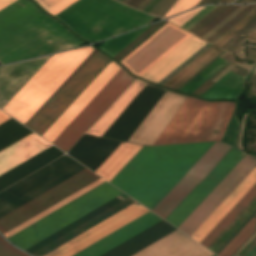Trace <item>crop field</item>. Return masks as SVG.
<instances>
[{
	"instance_id": "8a807250",
	"label": "crop field",
	"mask_w": 256,
	"mask_h": 256,
	"mask_svg": "<svg viewBox=\"0 0 256 256\" xmlns=\"http://www.w3.org/2000/svg\"><path fill=\"white\" fill-rule=\"evenodd\" d=\"M214 143L143 147L110 183L152 210Z\"/></svg>"
},
{
	"instance_id": "ac0d7876",
	"label": "crop field",
	"mask_w": 256,
	"mask_h": 256,
	"mask_svg": "<svg viewBox=\"0 0 256 256\" xmlns=\"http://www.w3.org/2000/svg\"><path fill=\"white\" fill-rule=\"evenodd\" d=\"M56 17L92 43L147 25L156 19L113 0H79Z\"/></svg>"
},
{
	"instance_id": "34b2d1b8",
	"label": "crop field",
	"mask_w": 256,
	"mask_h": 256,
	"mask_svg": "<svg viewBox=\"0 0 256 256\" xmlns=\"http://www.w3.org/2000/svg\"><path fill=\"white\" fill-rule=\"evenodd\" d=\"M235 103L186 96L153 145L221 140Z\"/></svg>"
},
{
	"instance_id": "412701ff",
	"label": "crop field",
	"mask_w": 256,
	"mask_h": 256,
	"mask_svg": "<svg viewBox=\"0 0 256 256\" xmlns=\"http://www.w3.org/2000/svg\"><path fill=\"white\" fill-rule=\"evenodd\" d=\"M93 49L53 55L2 110L24 124Z\"/></svg>"
},
{
	"instance_id": "f4fd0767",
	"label": "crop field",
	"mask_w": 256,
	"mask_h": 256,
	"mask_svg": "<svg viewBox=\"0 0 256 256\" xmlns=\"http://www.w3.org/2000/svg\"><path fill=\"white\" fill-rule=\"evenodd\" d=\"M83 43L45 14L0 42V63L75 48Z\"/></svg>"
},
{
	"instance_id": "dd49c442",
	"label": "crop field",
	"mask_w": 256,
	"mask_h": 256,
	"mask_svg": "<svg viewBox=\"0 0 256 256\" xmlns=\"http://www.w3.org/2000/svg\"><path fill=\"white\" fill-rule=\"evenodd\" d=\"M120 193L105 182L7 239L24 250Z\"/></svg>"
},
{
	"instance_id": "e52e79f7",
	"label": "crop field",
	"mask_w": 256,
	"mask_h": 256,
	"mask_svg": "<svg viewBox=\"0 0 256 256\" xmlns=\"http://www.w3.org/2000/svg\"><path fill=\"white\" fill-rule=\"evenodd\" d=\"M111 61L98 51L28 127L42 136Z\"/></svg>"
},
{
	"instance_id": "d8731c3e",
	"label": "crop field",
	"mask_w": 256,
	"mask_h": 256,
	"mask_svg": "<svg viewBox=\"0 0 256 256\" xmlns=\"http://www.w3.org/2000/svg\"><path fill=\"white\" fill-rule=\"evenodd\" d=\"M133 79L121 68L52 144L67 152Z\"/></svg>"
},
{
	"instance_id": "5a996713",
	"label": "crop field",
	"mask_w": 256,
	"mask_h": 256,
	"mask_svg": "<svg viewBox=\"0 0 256 256\" xmlns=\"http://www.w3.org/2000/svg\"><path fill=\"white\" fill-rule=\"evenodd\" d=\"M191 35L168 22L120 62L140 77Z\"/></svg>"
},
{
	"instance_id": "3316defc",
	"label": "crop field",
	"mask_w": 256,
	"mask_h": 256,
	"mask_svg": "<svg viewBox=\"0 0 256 256\" xmlns=\"http://www.w3.org/2000/svg\"><path fill=\"white\" fill-rule=\"evenodd\" d=\"M98 178L100 177L87 169L80 172L74 177L1 218L0 232L3 234L9 231Z\"/></svg>"
},
{
	"instance_id": "28ad6ade",
	"label": "crop field",
	"mask_w": 256,
	"mask_h": 256,
	"mask_svg": "<svg viewBox=\"0 0 256 256\" xmlns=\"http://www.w3.org/2000/svg\"><path fill=\"white\" fill-rule=\"evenodd\" d=\"M245 156L232 147L165 220L178 228Z\"/></svg>"
},
{
	"instance_id": "d1516ede",
	"label": "crop field",
	"mask_w": 256,
	"mask_h": 256,
	"mask_svg": "<svg viewBox=\"0 0 256 256\" xmlns=\"http://www.w3.org/2000/svg\"><path fill=\"white\" fill-rule=\"evenodd\" d=\"M148 212L136 202L45 256H73Z\"/></svg>"
},
{
	"instance_id": "22f410ed",
	"label": "crop field",
	"mask_w": 256,
	"mask_h": 256,
	"mask_svg": "<svg viewBox=\"0 0 256 256\" xmlns=\"http://www.w3.org/2000/svg\"><path fill=\"white\" fill-rule=\"evenodd\" d=\"M230 148L216 142L152 211L165 219Z\"/></svg>"
},
{
	"instance_id": "cbeb9de0",
	"label": "crop field",
	"mask_w": 256,
	"mask_h": 256,
	"mask_svg": "<svg viewBox=\"0 0 256 256\" xmlns=\"http://www.w3.org/2000/svg\"><path fill=\"white\" fill-rule=\"evenodd\" d=\"M255 166L256 159L247 155L178 229L191 236Z\"/></svg>"
},
{
	"instance_id": "5142ce71",
	"label": "crop field",
	"mask_w": 256,
	"mask_h": 256,
	"mask_svg": "<svg viewBox=\"0 0 256 256\" xmlns=\"http://www.w3.org/2000/svg\"><path fill=\"white\" fill-rule=\"evenodd\" d=\"M165 91L148 84L102 137L127 142Z\"/></svg>"
},
{
	"instance_id": "d9b57169",
	"label": "crop field",
	"mask_w": 256,
	"mask_h": 256,
	"mask_svg": "<svg viewBox=\"0 0 256 256\" xmlns=\"http://www.w3.org/2000/svg\"><path fill=\"white\" fill-rule=\"evenodd\" d=\"M183 98L184 95L167 90L128 142L152 145Z\"/></svg>"
},
{
	"instance_id": "733c2abd",
	"label": "crop field",
	"mask_w": 256,
	"mask_h": 256,
	"mask_svg": "<svg viewBox=\"0 0 256 256\" xmlns=\"http://www.w3.org/2000/svg\"><path fill=\"white\" fill-rule=\"evenodd\" d=\"M51 56L0 67V108L1 109L27 83V81L44 65V63Z\"/></svg>"
},
{
	"instance_id": "4a817a6b",
	"label": "crop field",
	"mask_w": 256,
	"mask_h": 256,
	"mask_svg": "<svg viewBox=\"0 0 256 256\" xmlns=\"http://www.w3.org/2000/svg\"><path fill=\"white\" fill-rule=\"evenodd\" d=\"M120 68L112 61L42 137L52 143Z\"/></svg>"
},
{
	"instance_id": "bc2a9ffb",
	"label": "crop field",
	"mask_w": 256,
	"mask_h": 256,
	"mask_svg": "<svg viewBox=\"0 0 256 256\" xmlns=\"http://www.w3.org/2000/svg\"><path fill=\"white\" fill-rule=\"evenodd\" d=\"M208 251L177 230L133 256L213 255Z\"/></svg>"
},
{
	"instance_id": "214f88e0",
	"label": "crop field",
	"mask_w": 256,
	"mask_h": 256,
	"mask_svg": "<svg viewBox=\"0 0 256 256\" xmlns=\"http://www.w3.org/2000/svg\"><path fill=\"white\" fill-rule=\"evenodd\" d=\"M120 144V142L84 135L68 155L95 172Z\"/></svg>"
},
{
	"instance_id": "92a150f3",
	"label": "crop field",
	"mask_w": 256,
	"mask_h": 256,
	"mask_svg": "<svg viewBox=\"0 0 256 256\" xmlns=\"http://www.w3.org/2000/svg\"><path fill=\"white\" fill-rule=\"evenodd\" d=\"M44 13L29 0H17L0 11V41Z\"/></svg>"
},
{
	"instance_id": "dafd665d",
	"label": "crop field",
	"mask_w": 256,
	"mask_h": 256,
	"mask_svg": "<svg viewBox=\"0 0 256 256\" xmlns=\"http://www.w3.org/2000/svg\"><path fill=\"white\" fill-rule=\"evenodd\" d=\"M160 220L150 212L74 256H100Z\"/></svg>"
},
{
	"instance_id": "00972430",
	"label": "crop field",
	"mask_w": 256,
	"mask_h": 256,
	"mask_svg": "<svg viewBox=\"0 0 256 256\" xmlns=\"http://www.w3.org/2000/svg\"><path fill=\"white\" fill-rule=\"evenodd\" d=\"M50 146L52 145L32 133L0 151V175Z\"/></svg>"
},
{
	"instance_id": "a9b5d70f",
	"label": "crop field",
	"mask_w": 256,
	"mask_h": 256,
	"mask_svg": "<svg viewBox=\"0 0 256 256\" xmlns=\"http://www.w3.org/2000/svg\"><path fill=\"white\" fill-rule=\"evenodd\" d=\"M206 43L192 35L141 77L157 83Z\"/></svg>"
},
{
	"instance_id": "4177f3b9",
	"label": "crop field",
	"mask_w": 256,
	"mask_h": 256,
	"mask_svg": "<svg viewBox=\"0 0 256 256\" xmlns=\"http://www.w3.org/2000/svg\"><path fill=\"white\" fill-rule=\"evenodd\" d=\"M175 230L162 220L101 256H131Z\"/></svg>"
},
{
	"instance_id": "730fd06b",
	"label": "crop field",
	"mask_w": 256,
	"mask_h": 256,
	"mask_svg": "<svg viewBox=\"0 0 256 256\" xmlns=\"http://www.w3.org/2000/svg\"><path fill=\"white\" fill-rule=\"evenodd\" d=\"M146 85L136 79L86 134L101 137Z\"/></svg>"
},
{
	"instance_id": "eef30255",
	"label": "crop field",
	"mask_w": 256,
	"mask_h": 256,
	"mask_svg": "<svg viewBox=\"0 0 256 256\" xmlns=\"http://www.w3.org/2000/svg\"><path fill=\"white\" fill-rule=\"evenodd\" d=\"M61 152L52 146L45 151L39 153L38 155L34 156L33 158L27 160L26 162L20 164L19 166L13 168L7 173L1 175L0 191L14 184L15 182L19 181L30 173L36 171L37 169L41 168L52 160L63 155V153Z\"/></svg>"
},
{
	"instance_id": "ae1a2a85",
	"label": "crop field",
	"mask_w": 256,
	"mask_h": 256,
	"mask_svg": "<svg viewBox=\"0 0 256 256\" xmlns=\"http://www.w3.org/2000/svg\"><path fill=\"white\" fill-rule=\"evenodd\" d=\"M255 182H256V168L235 189V191L218 207V209L200 226V228L191 237H193L194 239L200 242L206 236V234L220 221V219L234 206V204L249 190V188Z\"/></svg>"
},
{
	"instance_id": "d3111659",
	"label": "crop field",
	"mask_w": 256,
	"mask_h": 256,
	"mask_svg": "<svg viewBox=\"0 0 256 256\" xmlns=\"http://www.w3.org/2000/svg\"><path fill=\"white\" fill-rule=\"evenodd\" d=\"M141 148L122 143L95 173L110 182Z\"/></svg>"
},
{
	"instance_id": "750c4746",
	"label": "crop field",
	"mask_w": 256,
	"mask_h": 256,
	"mask_svg": "<svg viewBox=\"0 0 256 256\" xmlns=\"http://www.w3.org/2000/svg\"><path fill=\"white\" fill-rule=\"evenodd\" d=\"M243 77L229 72L200 97L207 99L232 98L237 99L243 89Z\"/></svg>"
},
{
	"instance_id": "bd1437ed",
	"label": "crop field",
	"mask_w": 256,
	"mask_h": 256,
	"mask_svg": "<svg viewBox=\"0 0 256 256\" xmlns=\"http://www.w3.org/2000/svg\"><path fill=\"white\" fill-rule=\"evenodd\" d=\"M222 52L223 51H221L220 49L212 46L202 55L200 54L201 56H199L196 60H194L191 64H189L166 84H164V86L176 89Z\"/></svg>"
},
{
	"instance_id": "1d83c4d3",
	"label": "crop field",
	"mask_w": 256,
	"mask_h": 256,
	"mask_svg": "<svg viewBox=\"0 0 256 256\" xmlns=\"http://www.w3.org/2000/svg\"><path fill=\"white\" fill-rule=\"evenodd\" d=\"M256 196V183L236 203V205L221 219V221L200 242L206 248L228 226V224L242 211V209Z\"/></svg>"
},
{
	"instance_id": "120bbe31",
	"label": "crop field",
	"mask_w": 256,
	"mask_h": 256,
	"mask_svg": "<svg viewBox=\"0 0 256 256\" xmlns=\"http://www.w3.org/2000/svg\"><path fill=\"white\" fill-rule=\"evenodd\" d=\"M30 133L32 132L16 122L14 119L11 118L7 120L0 125V150Z\"/></svg>"
},
{
	"instance_id": "d32e631a",
	"label": "crop field",
	"mask_w": 256,
	"mask_h": 256,
	"mask_svg": "<svg viewBox=\"0 0 256 256\" xmlns=\"http://www.w3.org/2000/svg\"><path fill=\"white\" fill-rule=\"evenodd\" d=\"M105 182L101 178L94 181L93 183L89 184L88 186L82 188L81 190L77 191L76 193L70 195L69 197L65 198L64 200L58 202L57 204L53 205L52 207L46 209L45 211L39 213L38 215L34 216L33 218L27 220L26 222L22 223L21 225L15 227L14 229L10 230L9 232L3 234L6 238L13 235L14 233L20 231L21 229L25 228L26 226L32 224L33 222L39 220L40 218L46 216L47 214L53 212L54 210L58 209L59 207L65 205L66 203L72 201L73 199L79 197L80 195L86 193L87 191L91 190L92 188L98 186L99 184Z\"/></svg>"
},
{
	"instance_id": "5866460e",
	"label": "crop field",
	"mask_w": 256,
	"mask_h": 256,
	"mask_svg": "<svg viewBox=\"0 0 256 256\" xmlns=\"http://www.w3.org/2000/svg\"><path fill=\"white\" fill-rule=\"evenodd\" d=\"M149 27H145L134 32L125 34L123 36L108 40L99 48L106 52L108 55L113 57L124 47H126L129 43H131L135 38H137L140 34H142L145 30H147Z\"/></svg>"
},
{
	"instance_id": "028f5c9d",
	"label": "crop field",
	"mask_w": 256,
	"mask_h": 256,
	"mask_svg": "<svg viewBox=\"0 0 256 256\" xmlns=\"http://www.w3.org/2000/svg\"><path fill=\"white\" fill-rule=\"evenodd\" d=\"M255 230H256V220L253 218L218 256H232V254L245 242V240Z\"/></svg>"
},
{
	"instance_id": "e1f06a70",
	"label": "crop field",
	"mask_w": 256,
	"mask_h": 256,
	"mask_svg": "<svg viewBox=\"0 0 256 256\" xmlns=\"http://www.w3.org/2000/svg\"><path fill=\"white\" fill-rule=\"evenodd\" d=\"M255 7H256V4L248 5L234 19H232L229 23H227L224 27H222L219 31H217L214 35H212L209 39H207V41L213 44L221 36H223L227 31H229L232 27H234L237 23H239L242 19H244L250 12H252L255 9Z\"/></svg>"
},
{
	"instance_id": "0bd39190",
	"label": "crop field",
	"mask_w": 256,
	"mask_h": 256,
	"mask_svg": "<svg viewBox=\"0 0 256 256\" xmlns=\"http://www.w3.org/2000/svg\"><path fill=\"white\" fill-rule=\"evenodd\" d=\"M97 52L93 50L88 57L74 70V72L60 85V87L45 101V103L31 116V118L25 123L29 125L34 118L48 105V103L62 90V88L77 74V72L91 59V57Z\"/></svg>"
},
{
	"instance_id": "b80d0937",
	"label": "crop field",
	"mask_w": 256,
	"mask_h": 256,
	"mask_svg": "<svg viewBox=\"0 0 256 256\" xmlns=\"http://www.w3.org/2000/svg\"><path fill=\"white\" fill-rule=\"evenodd\" d=\"M256 17V9L250 13L244 20H242L239 24H237L234 28H232L228 33H226L222 38H220L213 45L217 47H221L226 41H228L236 32H238L242 27H244L248 22Z\"/></svg>"
},
{
	"instance_id": "c035e120",
	"label": "crop field",
	"mask_w": 256,
	"mask_h": 256,
	"mask_svg": "<svg viewBox=\"0 0 256 256\" xmlns=\"http://www.w3.org/2000/svg\"><path fill=\"white\" fill-rule=\"evenodd\" d=\"M224 60L218 58L212 64H210L207 68H205L202 72H200L196 77H194L191 81H189L186 85H184L179 91L186 92L192 86H194L197 82H199L202 78H204L207 74H209L212 70H214L217 66H219Z\"/></svg>"
},
{
	"instance_id": "c21b1889",
	"label": "crop field",
	"mask_w": 256,
	"mask_h": 256,
	"mask_svg": "<svg viewBox=\"0 0 256 256\" xmlns=\"http://www.w3.org/2000/svg\"><path fill=\"white\" fill-rule=\"evenodd\" d=\"M228 7H230V6L219 5L212 12H210L207 16H205L202 20H200L196 25H194L191 29H189L188 31L195 34L202 27H204L207 23H209L211 20H213L215 17H217L220 13H222L224 10H226Z\"/></svg>"
},
{
	"instance_id": "03da06ac",
	"label": "crop field",
	"mask_w": 256,
	"mask_h": 256,
	"mask_svg": "<svg viewBox=\"0 0 256 256\" xmlns=\"http://www.w3.org/2000/svg\"><path fill=\"white\" fill-rule=\"evenodd\" d=\"M240 6H231L226 11H224L222 14H220L217 18H215L213 21H211L209 24H207L204 28H202L197 35L198 37L204 36L207 32H209L212 28H214L217 24H219L222 20H224L227 16H229L233 11H235Z\"/></svg>"
},
{
	"instance_id": "b54c1fbb",
	"label": "crop field",
	"mask_w": 256,
	"mask_h": 256,
	"mask_svg": "<svg viewBox=\"0 0 256 256\" xmlns=\"http://www.w3.org/2000/svg\"><path fill=\"white\" fill-rule=\"evenodd\" d=\"M210 44L204 45L201 49H199L196 53H194L191 57H189L186 61H184L180 66H178L175 70H173L170 74H168L165 78H163L158 84L163 85L170 78H172L175 74H177L180 70H182L185 66H187L190 62H192L195 58H197L200 54H202L205 50H207Z\"/></svg>"
},
{
	"instance_id": "5d738f31",
	"label": "crop field",
	"mask_w": 256,
	"mask_h": 256,
	"mask_svg": "<svg viewBox=\"0 0 256 256\" xmlns=\"http://www.w3.org/2000/svg\"><path fill=\"white\" fill-rule=\"evenodd\" d=\"M237 128H238V121L236 119V116L234 114L230 125L228 127V130L224 136V138L222 139L223 142L229 143L233 146L236 147L235 145V140H236V134H237Z\"/></svg>"
},
{
	"instance_id": "d23c7cc5",
	"label": "crop field",
	"mask_w": 256,
	"mask_h": 256,
	"mask_svg": "<svg viewBox=\"0 0 256 256\" xmlns=\"http://www.w3.org/2000/svg\"><path fill=\"white\" fill-rule=\"evenodd\" d=\"M200 0H178L175 5L169 10L165 17L181 12L195 6ZM164 17V18H165Z\"/></svg>"
},
{
	"instance_id": "425ffa30",
	"label": "crop field",
	"mask_w": 256,
	"mask_h": 256,
	"mask_svg": "<svg viewBox=\"0 0 256 256\" xmlns=\"http://www.w3.org/2000/svg\"><path fill=\"white\" fill-rule=\"evenodd\" d=\"M177 0H161L150 12V14L163 18L168 10L174 5Z\"/></svg>"
},
{
	"instance_id": "25e5ab78",
	"label": "crop field",
	"mask_w": 256,
	"mask_h": 256,
	"mask_svg": "<svg viewBox=\"0 0 256 256\" xmlns=\"http://www.w3.org/2000/svg\"><path fill=\"white\" fill-rule=\"evenodd\" d=\"M0 256H28L7 243L0 236Z\"/></svg>"
},
{
	"instance_id": "73cf0c24",
	"label": "crop field",
	"mask_w": 256,
	"mask_h": 256,
	"mask_svg": "<svg viewBox=\"0 0 256 256\" xmlns=\"http://www.w3.org/2000/svg\"><path fill=\"white\" fill-rule=\"evenodd\" d=\"M216 6H206L203 8L199 13H197L194 17H192L189 21H187L181 28L188 30L191 28L195 23H197L200 19H202L205 15H207L211 10H213Z\"/></svg>"
},
{
	"instance_id": "89e229c0",
	"label": "crop field",
	"mask_w": 256,
	"mask_h": 256,
	"mask_svg": "<svg viewBox=\"0 0 256 256\" xmlns=\"http://www.w3.org/2000/svg\"><path fill=\"white\" fill-rule=\"evenodd\" d=\"M205 7V6H204ZM203 7L194 9L192 11H189L187 13L178 15L176 17L168 19L170 22L174 23L177 26L183 25L187 20H189L192 16H194L197 12H199Z\"/></svg>"
},
{
	"instance_id": "1f2cbd36",
	"label": "crop field",
	"mask_w": 256,
	"mask_h": 256,
	"mask_svg": "<svg viewBox=\"0 0 256 256\" xmlns=\"http://www.w3.org/2000/svg\"><path fill=\"white\" fill-rule=\"evenodd\" d=\"M246 6H241L234 13H232L229 17H227L224 21H222L219 25H217L214 29H212L209 33H207L202 39L206 40L212 34H214L217 30H219L222 26H224L227 22H229L232 18H234L241 10H243Z\"/></svg>"
},
{
	"instance_id": "dbb93151",
	"label": "crop field",
	"mask_w": 256,
	"mask_h": 256,
	"mask_svg": "<svg viewBox=\"0 0 256 256\" xmlns=\"http://www.w3.org/2000/svg\"><path fill=\"white\" fill-rule=\"evenodd\" d=\"M255 18H256V17H255ZM255 20H256V19H255ZM255 20H253V21H255ZM253 21H252V22H253ZM252 22H251V23H252ZM251 23H250V24H251ZM252 24H253V23H252ZM252 24H251V25H252ZM248 25H249V24H248ZM248 25H247V26H248ZM251 25H250V26H251ZM247 26H246V27H247ZM250 26H248L247 28H249ZM246 27H244V28H246ZM244 28H243V29H244ZM247 28H246V29H247ZM243 29H242V30H243ZM246 29H245V30H246ZM242 30H240L238 33H240ZM245 30H243L242 32H244ZM242 32H241V33H242ZM238 33H236L231 39H233ZM241 33H240V34H241ZM240 34H238L237 36H239ZM237 36H236V37H237ZM236 37H235V38H236ZM235 38H234V39H235ZM242 38H243V36L240 35L239 37H237V38L235 39L234 42H233L234 39H233L232 41H230V40H231V39H230V40H229L230 42H229V41H228L229 43L226 42V43L221 47V49L228 43V44L223 48V50H224L227 46H229V45L233 42L229 47H227V48L225 49V51L230 52V51L240 42V40H241Z\"/></svg>"
},
{
	"instance_id": "0fb4a251",
	"label": "crop field",
	"mask_w": 256,
	"mask_h": 256,
	"mask_svg": "<svg viewBox=\"0 0 256 256\" xmlns=\"http://www.w3.org/2000/svg\"><path fill=\"white\" fill-rule=\"evenodd\" d=\"M77 0H64L61 3H59L58 5H56L55 7H53L52 9H50L49 13H51L52 15H57L58 13H60L61 11H63L65 8H67L68 6H70L71 4H73L74 2H76Z\"/></svg>"
},
{
	"instance_id": "1d79db26",
	"label": "crop field",
	"mask_w": 256,
	"mask_h": 256,
	"mask_svg": "<svg viewBox=\"0 0 256 256\" xmlns=\"http://www.w3.org/2000/svg\"><path fill=\"white\" fill-rule=\"evenodd\" d=\"M46 11L62 0H35Z\"/></svg>"
},
{
	"instance_id": "9d1cf04e",
	"label": "crop field",
	"mask_w": 256,
	"mask_h": 256,
	"mask_svg": "<svg viewBox=\"0 0 256 256\" xmlns=\"http://www.w3.org/2000/svg\"><path fill=\"white\" fill-rule=\"evenodd\" d=\"M228 62L222 63L218 68H216L213 72H211L207 77H205L202 81H200L198 84H196L193 88H191L187 93L193 92L196 88H198L201 84H203L206 80H208L211 76H213L216 72H218L221 68H223Z\"/></svg>"
},
{
	"instance_id": "447ae74e",
	"label": "crop field",
	"mask_w": 256,
	"mask_h": 256,
	"mask_svg": "<svg viewBox=\"0 0 256 256\" xmlns=\"http://www.w3.org/2000/svg\"><path fill=\"white\" fill-rule=\"evenodd\" d=\"M247 114L244 115L242 121H241V127H240V134H239V141H238V147L243 150L242 145H241V141H242V137H243V133H244V126H245V118H246Z\"/></svg>"
},
{
	"instance_id": "0765c3eb",
	"label": "crop field",
	"mask_w": 256,
	"mask_h": 256,
	"mask_svg": "<svg viewBox=\"0 0 256 256\" xmlns=\"http://www.w3.org/2000/svg\"><path fill=\"white\" fill-rule=\"evenodd\" d=\"M245 41L244 40H242L236 47H235V49L231 52V53H234V51H236L243 43H244ZM243 46H241L237 51H236V53H235V55H237L239 58H241V59H244L245 58V56H244V53L243 52H241L242 50H243ZM230 53V54H231Z\"/></svg>"
},
{
	"instance_id": "db79e9e6",
	"label": "crop field",
	"mask_w": 256,
	"mask_h": 256,
	"mask_svg": "<svg viewBox=\"0 0 256 256\" xmlns=\"http://www.w3.org/2000/svg\"><path fill=\"white\" fill-rule=\"evenodd\" d=\"M234 65H230L228 68H226L218 77L214 79V81H218L220 78H222L230 69H232Z\"/></svg>"
},
{
	"instance_id": "7b73153f",
	"label": "crop field",
	"mask_w": 256,
	"mask_h": 256,
	"mask_svg": "<svg viewBox=\"0 0 256 256\" xmlns=\"http://www.w3.org/2000/svg\"><path fill=\"white\" fill-rule=\"evenodd\" d=\"M15 0H0V9L14 2ZM1 11V10H0Z\"/></svg>"
},
{
	"instance_id": "78b8030e",
	"label": "crop field",
	"mask_w": 256,
	"mask_h": 256,
	"mask_svg": "<svg viewBox=\"0 0 256 256\" xmlns=\"http://www.w3.org/2000/svg\"><path fill=\"white\" fill-rule=\"evenodd\" d=\"M245 39H248V40H251V41H255L256 40V32L255 31H253V32H251L250 34H248L246 37H245Z\"/></svg>"
},
{
	"instance_id": "0f1d7ab4",
	"label": "crop field",
	"mask_w": 256,
	"mask_h": 256,
	"mask_svg": "<svg viewBox=\"0 0 256 256\" xmlns=\"http://www.w3.org/2000/svg\"><path fill=\"white\" fill-rule=\"evenodd\" d=\"M9 118H11V117H9L8 115H6V114H4L3 112L0 111V123L6 121Z\"/></svg>"
},
{
	"instance_id": "e1d0b9f6",
	"label": "crop field",
	"mask_w": 256,
	"mask_h": 256,
	"mask_svg": "<svg viewBox=\"0 0 256 256\" xmlns=\"http://www.w3.org/2000/svg\"><path fill=\"white\" fill-rule=\"evenodd\" d=\"M254 29H256V22L248 30H246L244 33H242V35L245 36L248 33H250L251 31H253Z\"/></svg>"
},
{
	"instance_id": "ae633e8c",
	"label": "crop field",
	"mask_w": 256,
	"mask_h": 256,
	"mask_svg": "<svg viewBox=\"0 0 256 256\" xmlns=\"http://www.w3.org/2000/svg\"><path fill=\"white\" fill-rule=\"evenodd\" d=\"M160 0H154L153 3L145 10V12L149 13V11L159 2Z\"/></svg>"
},
{
	"instance_id": "d14b1444",
	"label": "crop field",
	"mask_w": 256,
	"mask_h": 256,
	"mask_svg": "<svg viewBox=\"0 0 256 256\" xmlns=\"http://www.w3.org/2000/svg\"><path fill=\"white\" fill-rule=\"evenodd\" d=\"M253 83H254V85H253V87H252V89L250 91L251 93H254V91L256 90V77H255Z\"/></svg>"
},
{
	"instance_id": "c39391a2",
	"label": "crop field",
	"mask_w": 256,
	"mask_h": 256,
	"mask_svg": "<svg viewBox=\"0 0 256 256\" xmlns=\"http://www.w3.org/2000/svg\"><path fill=\"white\" fill-rule=\"evenodd\" d=\"M144 1H145V0H140L137 4H135V5L133 6V8L137 9L138 6H139L142 2H144Z\"/></svg>"
},
{
	"instance_id": "ade564c9",
	"label": "crop field",
	"mask_w": 256,
	"mask_h": 256,
	"mask_svg": "<svg viewBox=\"0 0 256 256\" xmlns=\"http://www.w3.org/2000/svg\"><path fill=\"white\" fill-rule=\"evenodd\" d=\"M256 2V0H243L241 3H253Z\"/></svg>"
},
{
	"instance_id": "c5b07064",
	"label": "crop field",
	"mask_w": 256,
	"mask_h": 256,
	"mask_svg": "<svg viewBox=\"0 0 256 256\" xmlns=\"http://www.w3.org/2000/svg\"><path fill=\"white\" fill-rule=\"evenodd\" d=\"M225 1H226V0H220L218 3H225ZM232 1H234V0H227L226 3H231Z\"/></svg>"
},
{
	"instance_id": "c3a83c6f",
	"label": "crop field",
	"mask_w": 256,
	"mask_h": 256,
	"mask_svg": "<svg viewBox=\"0 0 256 256\" xmlns=\"http://www.w3.org/2000/svg\"><path fill=\"white\" fill-rule=\"evenodd\" d=\"M255 74H256V69H255V71L253 72V74L251 75L250 82H252V80H253ZM250 82H249V83H250Z\"/></svg>"
},
{
	"instance_id": "fb207236",
	"label": "crop field",
	"mask_w": 256,
	"mask_h": 256,
	"mask_svg": "<svg viewBox=\"0 0 256 256\" xmlns=\"http://www.w3.org/2000/svg\"><path fill=\"white\" fill-rule=\"evenodd\" d=\"M150 1H151V0H148V1L144 4V6H143L141 9H143ZM141 9H140V10H141Z\"/></svg>"
},
{
	"instance_id": "7312dd0a",
	"label": "crop field",
	"mask_w": 256,
	"mask_h": 256,
	"mask_svg": "<svg viewBox=\"0 0 256 256\" xmlns=\"http://www.w3.org/2000/svg\"><path fill=\"white\" fill-rule=\"evenodd\" d=\"M152 1L142 11H144L152 3Z\"/></svg>"
},
{
	"instance_id": "180be81f",
	"label": "crop field",
	"mask_w": 256,
	"mask_h": 256,
	"mask_svg": "<svg viewBox=\"0 0 256 256\" xmlns=\"http://www.w3.org/2000/svg\"><path fill=\"white\" fill-rule=\"evenodd\" d=\"M242 0H237L235 3H240Z\"/></svg>"
},
{
	"instance_id": "f0312440",
	"label": "crop field",
	"mask_w": 256,
	"mask_h": 256,
	"mask_svg": "<svg viewBox=\"0 0 256 256\" xmlns=\"http://www.w3.org/2000/svg\"><path fill=\"white\" fill-rule=\"evenodd\" d=\"M139 0H137L136 2H138ZM136 2H134L132 5H131V7L136 3Z\"/></svg>"
},
{
	"instance_id": "1f1604b0",
	"label": "crop field",
	"mask_w": 256,
	"mask_h": 256,
	"mask_svg": "<svg viewBox=\"0 0 256 256\" xmlns=\"http://www.w3.org/2000/svg\"><path fill=\"white\" fill-rule=\"evenodd\" d=\"M128 1H129V0H126V1L124 2V4H126Z\"/></svg>"
},
{
	"instance_id": "819c52e7",
	"label": "crop field",
	"mask_w": 256,
	"mask_h": 256,
	"mask_svg": "<svg viewBox=\"0 0 256 256\" xmlns=\"http://www.w3.org/2000/svg\"><path fill=\"white\" fill-rule=\"evenodd\" d=\"M124 1H125V0H121L120 2H122V3H123Z\"/></svg>"
},
{
	"instance_id": "c821d689",
	"label": "crop field",
	"mask_w": 256,
	"mask_h": 256,
	"mask_svg": "<svg viewBox=\"0 0 256 256\" xmlns=\"http://www.w3.org/2000/svg\"><path fill=\"white\" fill-rule=\"evenodd\" d=\"M118 1H120V0H118Z\"/></svg>"
},
{
	"instance_id": "a0ae1fb6",
	"label": "crop field",
	"mask_w": 256,
	"mask_h": 256,
	"mask_svg": "<svg viewBox=\"0 0 256 256\" xmlns=\"http://www.w3.org/2000/svg\"><path fill=\"white\" fill-rule=\"evenodd\" d=\"M255 94H256V92H255Z\"/></svg>"
},
{
	"instance_id": "8de936bc",
	"label": "crop field",
	"mask_w": 256,
	"mask_h": 256,
	"mask_svg": "<svg viewBox=\"0 0 256 256\" xmlns=\"http://www.w3.org/2000/svg\"><path fill=\"white\" fill-rule=\"evenodd\" d=\"M214 256V255H213Z\"/></svg>"
}]
</instances>
